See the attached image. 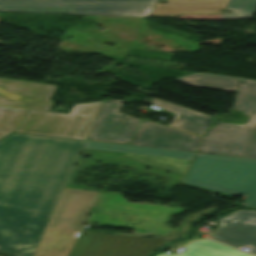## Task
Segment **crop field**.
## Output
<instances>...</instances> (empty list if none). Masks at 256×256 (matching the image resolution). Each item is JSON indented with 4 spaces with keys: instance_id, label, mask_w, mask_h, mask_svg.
I'll list each match as a JSON object with an SVG mask.
<instances>
[{
    "instance_id": "crop-field-1",
    "label": "crop field",
    "mask_w": 256,
    "mask_h": 256,
    "mask_svg": "<svg viewBox=\"0 0 256 256\" xmlns=\"http://www.w3.org/2000/svg\"><path fill=\"white\" fill-rule=\"evenodd\" d=\"M84 142L21 133L0 140V252L33 256Z\"/></svg>"
},
{
    "instance_id": "crop-field-2",
    "label": "crop field",
    "mask_w": 256,
    "mask_h": 256,
    "mask_svg": "<svg viewBox=\"0 0 256 256\" xmlns=\"http://www.w3.org/2000/svg\"><path fill=\"white\" fill-rule=\"evenodd\" d=\"M183 183L229 194H246L244 207H256V161L197 154Z\"/></svg>"
},
{
    "instance_id": "crop-field-3",
    "label": "crop field",
    "mask_w": 256,
    "mask_h": 256,
    "mask_svg": "<svg viewBox=\"0 0 256 256\" xmlns=\"http://www.w3.org/2000/svg\"><path fill=\"white\" fill-rule=\"evenodd\" d=\"M234 108L250 115L247 125L218 123L199 152L256 158V82L241 80Z\"/></svg>"
},
{
    "instance_id": "crop-field-4",
    "label": "crop field",
    "mask_w": 256,
    "mask_h": 256,
    "mask_svg": "<svg viewBox=\"0 0 256 256\" xmlns=\"http://www.w3.org/2000/svg\"><path fill=\"white\" fill-rule=\"evenodd\" d=\"M97 194L65 189L34 256H68Z\"/></svg>"
},
{
    "instance_id": "crop-field-5",
    "label": "crop field",
    "mask_w": 256,
    "mask_h": 256,
    "mask_svg": "<svg viewBox=\"0 0 256 256\" xmlns=\"http://www.w3.org/2000/svg\"><path fill=\"white\" fill-rule=\"evenodd\" d=\"M157 0H0V12L150 17Z\"/></svg>"
},
{
    "instance_id": "crop-field-6",
    "label": "crop field",
    "mask_w": 256,
    "mask_h": 256,
    "mask_svg": "<svg viewBox=\"0 0 256 256\" xmlns=\"http://www.w3.org/2000/svg\"><path fill=\"white\" fill-rule=\"evenodd\" d=\"M212 212L214 211L210 210L190 217L183 223L178 235L164 240L98 232H81L70 256H150L154 250L163 244L189 235L190 224Z\"/></svg>"
},
{
    "instance_id": "crop-field-7",
    "label": "crop field",
    "mask_w": 256,
    "mask_h": 256,
    "mask_svg": "<svg viewBox=\"0 0 256 256\" xmlns=\"http://www.w3.org/2000/svg\"><path fill=\"white\" fill-rule=\"evenodd\" d=\"M103 102L74 105L69 114L28 111L15 132L86 140Z\"/></svg>"
},
{
    "instance_id": "crop-field-8",
    "label": "crop field",
    "mask_w": 256,
    "mask_h": 256,
    "mask_svg": "<svg viewBox=\"0 0 256 256\" xmlns=\"http://www.w3.org/2000/svg\"><path fill=\"white\" fill-rule=\"evenodd\" d=\"M83 148L124 152L125 158L184 175L194 153L86 141Z\"/></svg>"
},
{
    "instance_id": "crop-field-9",
    "label": "crop field",
    "mask_w": 256,
    "mask_h": 256,
    "mask_svg": "<svg viewBox=\"0 0 256 256\" xmlns=\"http://www.w3.org/2000/svg\"><path fill=\"white\" fill-rule=\"evenodd\" d=\"M123 103L105 100L87 139L129 144L140 120L119 112Z\"/></svg>"
},
{
    "instance_id": "crop-field-10",
    "label": "crop field",
    "mask_w": 256,
    "mask_h": 256,
    "mask_svg": "<svg viewBox=\"0 0 256 256\" xmlns=\"http://www.w3.org/2000/svg\"><path fill=\"white\" fill-rule=\"evenodd\" d=\"M57 86L0 78V106L49 111Z\"/></svg>"
},
{
    "instance_id": "crop-field-11",
    "label": "crop field",
    "mask_w": 256,
    "mask_h": 256,
    "mask_svg": "<svg viewBox=\"0 0 256 256\" xmlns=\"http://www.w3.org/2000/svg\"><path fill=\"white\" fill-rule=\"evenodd\" d=\"M201 137L142 121L131 145L195 152Z\"/></svg>"
},
{
    "instance_id": "crop-field-12",
    "label": "crop field",
    "mask_w": 256,
    "mask_h": 256,
    "mask_svg": "<svg viewBox=\"0 0 256 256\" xmlns=\"http://www.w3.org/2000/svg\"><path fill=\"white\" fill-rule=\"evenodd\" d=\"M220 227L211 235L234 247L250 246L256 254V211L240 210L219 219Z\"/></svg>"
},
{
    "instance_id": "crop-field-13",
    "label": "crop field",
    "mask_w": 256,
    "mask_h": 256,
    "mask_svg": "<svg viewBox=\"0 0 256 256\" xmlns=\"http://www.w3.org/2000/svg\"><path fill=\"white\" fill-rule=\"evenodd\" d=\"M151 103L162 106L164 110L176 113L170 126L202 136H204L213 118L212 116L153 98H151Z\"/></svg>"
},
{
    "instance_id": "crop-field-14",
    "label": "crop field",
    "mask_w": 256,
    "mask_h": 256,
    "mask_svg": "<svg viewBox=\"0 0 256 256\" xmlns=\"http://www.w3.org/2000/svg\"><path fill=\"white\" fill-rule=\"evenodd\" d=\"M185 248L188 249L178 255L156 256H254L210 240L194 241Z\"/></svg>"
},
{
    "instance_id": "crop-field-15",
    "label": "crop field",
    "mask_w": 256,
    "mask_h": 256,
    "mask_svg": "<svg viewBox=\"0 0 256 256\" xmlns=\"http://www.w3.org/2000/svg\"><path fill=\"white\" fill-rule=\"evenodd\" d=\"M177 81L198 87L215 88L237 92L240 80L214 77L208 75H192Z\"/></svg>"
},
{
    "instance_id": "crop-field-16",
    "label": "crop field",
    "mask_w": 256,
    "mask_h": 256,
    "mask_svg": "<svg viewBox=\"0 0 256 256\" xmlns=\"http://www.w3.org/2000/svg\"><path fill=\"white\" fill-rule=\"evenodd\" d=\"M27 111L0 107V139L14 132Z\"/></svg>"
},
{
    "instance_id": "crop-field-17",
    "label": "crop field",
    "mask_w": 256,
    "mask_h": 256,
    "mask_svg": "<svg viewBox=\"0 0 256 256\" xmlns=\"http://www.w3.org/2000/svg\"><path fill=\"white\" fill-rule=\"evenodd\" d=\"M225 9L234 10L233 14L223 13L221 20L254 17L256 0H229Z\"/></svg>"
}]
</instances>
